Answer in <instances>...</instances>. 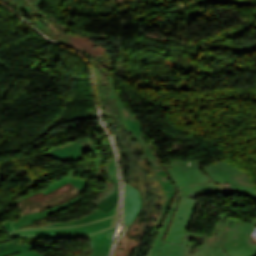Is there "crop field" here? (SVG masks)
Segmentation results:
<instances>
[{"label":"crop field","mask_w":256,"mask_h":256,"mask_svg":"<svg viewBox=\"0 0 256 256\" xmlns=\"http://www.w3.org/2000/svg\"><path fill=\"white\" fill-rule=\"evenodd\" d=\"M78 197L56 207L41 212L24 215L17 222H6L4 225L13 237L33 238H91L116 226L118 201L107 213L97 208L92 213L76 220L53 225L18 229L21 226L33 225V221L47 217L71 204L80 201Z\"/></svg>","instance_id":"1"},{"label":"crop field","mask_w":256,"mask_h":256,"mask_svg":"<svg viewBox=\"0 0 256 256\" xmlns=\"http://www.w3.org/2000/svg\"><path fill=\"white\" fill-rule=\"evenodd\" d=\"M87 151L92 153L96 159V179L102 180L106 184L105 190L91 202L107 212L113 207L119 197L115 158L103 161L94 143L93 137L56 146L42 154L61 162H66L86 159L84 153Z\"/></svg>","instance_id":"2"},{"label":"crop field","mask_w":256,"mask_h":256,"mask_svg":"<svg viewBox=\"0 0 256 256\" xmlns=\"http://www.w3.org/2000/svg\"><path fill=\"white\" fill-rule=\"evenodd\" d=\"M242 223L222 215L212 235L187 233L182 242L188 245L185 256H244L235 246Z\"/></svg>","instance_id":"3"},{"label":"crop field","mask_w":256,"mask_h":256,"mask_svg":"<svg viewBox=\"0 0 256 256\" xmlns=\"http://www.w3.org/2000/svg\"><path fill=\"white\" fill-rule=\"evenodd\" d=\"M109 78V82L111 84V89H112V92L115 96V99H116V104H117V107L120 111V114H121V117L123 119V123L124 125L128 128V130H131L134 132L137 140L139 141L145 155H147L151 165L153 166L154 168V171L159 179V182L161 183L165 193H166V201H165V205H164V210H163V213L160 215L159 219H158V222L156 224V227L154 229V233L156 232L167 208H168V205L174 195V192H175V189L169 179V177L167 176V174L165 173L164 169L162 168V166L159 164V162L157 161V159L155 158L153 152L151 151V149L148 147L145 139H144V135L142 133V130L140 128V126L138 125L137 123V120L135 118H133L129 112L124 108L121 100L118 101L119 96L116 94L115 90H114V87H113V79L111 76H108ZM140 137V138H139ZM161 177H163V179H161Z\"/></svg>","instance_id":"4"},{"label":"crop field","mask_w":256,"mask_h":256,"mask_svg":"<svg viewBox=\"0 0 256 256\" xmlns=\"http://www.w3.org/2000/svg\"><path fill=\"white\" fill-rule=\"evenodd\" d=\"M216 183L230 182L243 195L256 200V188L250 176L230 165L227 161L203 167Z\"/></svg>","instance_id":"5"},{"label":"crop field","mask_w":256,"mask_h":256,"mask_svg":"<svg viewBox=\"0 0 256 256\" xmlns=\"http://www.w3.org/2000/svg\"><path fill=\"white\" fill-rule=\"evenodd\" d=\"M80 193V190L68 183L48 193L45 196L40 193L34 196L27 197L24 200L17 202V205L22 215H24L41 211L51 206L59 205L78 196Z\"/></svg>","instance_id":"6"},{"label":"crop field","mask_w":256,"mask_h":256,"mask_svg":"<svg viewBox=\"0 0 256 256\" xmlns=\"http://www.w3.org/2000/svg\"><path fill=\"white\" fill-rule=\"evenodd\" d=\"M195 201L188 198H180L179 208H177L170 228L164 241L181 244L192 217L196 211Z\"/></svg>","instance_id":"7"},{"label":"crop field","mask_w":256,"mask_h":256,"mask_svg":"<svg viewBox=\"0 0 256 256\" xmlns=\"http://www.w3.org/2000/svg\"><path fill=\"white\" fill-rule=\"evenodd\" d=\"M164 167L179 191L177 196H180L181 186L211 180L208 174H203L200 168L183 173L178 162L164 164Z\"/></svg>","instance_id":"8"},{"label":"crop field","mask_w":256,"mask_h":256,"mask_svg":"<svg viewBox=\"0 0 256 256\" xmlns=\"http://www.w3.org/2000/svg\"><path fill=\"white\" fill-rule=\"evenodd\" d=\"M141 205V196L134 188L125 185L123 222L130 224L136 217Z\"/></svg>","instance_id":"9"},{"label":"crop field","mask_w":256,"mask_h":256,"mask_svg":"<svg viewBox=\"0 0 256 256\" xmlns=\"http://www.w3.org/2000/svg\"><path fill=\"white\" fill-rule=\"evenodd\" d=\"M254 226H256V220L251 221L249 224L243 223L237 236V250L247 256L256 255V242L250 241V235Z\"/></svg>","instance_id":"10"},{"label":"crop field","mask_w":256,"mask_h":256,"mask_svg":"<svg viewBox=\"0 0 256 256\" xmlns=\"http://www.w3.org/2000/svg\"><path fill=\"white\" fill-rule=\"evenodd\" d=\"M114 230L115 228L89 239L93 249L89 256H108Z\"/></svg>","instance_id":"11"},{"label":"crop field","mask_w":256,"mask_h":256,"mask_svg":"<svg viewBox=\"0 0 256 256\" xmlns=\"http://www.w3.org/2000/svg\"><path fill=\"white\" fill-rule=\"evenodd\" d=\"M213 190H225V191H236L230 183L228 184H216L213 181L200 183V184H194L189 186L182 187L181 196H188L192 193L198 192V191H213Z\"/></svg>","instance_id":"12"},{"label":"crop field","mask_w":256,"mask_h":256,"mask_svg":"<svg viewBox=\"0 0 256 256\" xmlns=\"http://www.w3.org/2000/svg\"><path fill=\"white\" fill-rule=\"evenodd\" d=\"M179 198L180 197H177L176 200L174 201V203H173V205H172V207H171V209H170V211H169V213H168V215H167V217H166V219H165V221H164V223L154 241L151 256H158L160 247L163 243V240H164L167 230L169 228L170 222L172 220V217H173L176 207L178 205ZM163 233H165V235H163Z\"/></svg>","instance_id":"13"},{"label":"crop field","mask_w":256,"mask_h":256,"mask_svg":"<svg viewBox=\"0 0 256 256\" xmlns=\"http://www.w3.org/2000/svg\"><path fill=\"white\" fill-rule=\"evenodd\" d=\"M15 242L16 241L0 244V256H8L14 253L27 251L36 247L34 245H28L24 243L22 245H18Z\"/></svg>","instance_id":"14"},{"label":"crop field","mask_w":256,"mask_h":256,"mask_svg":"<svg viewBox=\"0 0 256 256\" xmlns=\"http://www.w3.org/2000/svg\"><path fill=\"white\" fill-rule=\"evenodd\" d=\"M186 250V246L184 245H177L164 242L159 256H183Z\"/></svg>","instance_id":"15"},{"label":"crop field","mask_w":256,"mask_h":256,"mask_svg":"<svg viewBox=\"0 0 256 256\" xmlns=\"http://www.w3.org/2000/svg\"><path fill=\"white\" fill-rule=\"evenodd\" d=\"M71 183L72 185H74L75 187H77L78 189H80L81 191H83L88 183L87 180H83V179H71V178H67L66 180L60 182L59 184L51 187L50 189L42 192L44 195L47 194L48 192L66 184V183Z\"/></svg>","instance_id":"16"},{"label":"crop field","mask_w":256,"mask_h":256,"mask_svg":"<svg viewBox=\"0 0 256 256\" xmlns=\"http://www.w3.org/2000/svg\"><path fill=\"white\" fill-rule=\"evenodd\" d=\"M183 171H188L191 169H195L198 167H203V165L200 163V161L198 159H194V160H188V161H182L179 162Z\"/></svg>","instance_id":"17"},{"label":"crop field","mask_w":256,"mask_h":256,"mask_svg":"<svg viewBox=\"0 0 256 256\" xmlns=\"http://www.w3.org/2000/svg\"><path fill=\"white\" fill-rule=\"evenodd\" d=\"M11 256H43L39 253H36L34 251H27V252H22V253H18V254H14V255H11Z\"/></svg>","instance_id":"18"}]
</instances>
